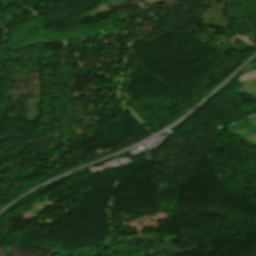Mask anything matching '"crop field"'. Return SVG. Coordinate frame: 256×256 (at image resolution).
Returning <instances> with one entry per match:
<instances>
[{
	"mask_svg": "<svg viewBox=\"0 0 256 256\" xmlns=\"http://www.w3.org/2000/svg\"><path fill=\"white\" fill-rule=\"evenodd\" d=\"M236 136H243L246 139L256 136V116L244 120L238 124L226 128Z\"/></svg>",
	"mask_w": 256,
	"mask_h": 256,
	"instance_id": "1",
	"label": "crop field"
},
{
	"mask_svg": "<svg viewBox=\"0 0 256 256\" xmlns=\"http://www.w3.org/2000/svg\"><path fill=\"white\" fill-rule=\"evenodd\" d=\"M255 78H256V70L242 75L239 80L241 82V81L251 80V79H255Z\"/></svg>",
	"mask_w": 256,
	"mask_h": 256,
	"instance_id": "2",
	"label": "crop field"
},
{
	"mask_svg": "<svg viewBox=\"0 0 256 256\" xmlns=\"http://www.w3.org/2000/svg\"><path fill=\"white\" fill-rule=\"evenodd\" d=\"M242 84H243V88L244 87L256 86V79L255 80H251V81L242 82Z\"/></svg>",
	"mask_w": 256,
	"mask_h": 256,
	"instance_id": "3",
	"label": "crop field"
},
{
	"mask_svg": "<svg viewBox=\"0 0 256 256\" xmlns=\"http://www.w3.org/2000/svg\"><path fill=\"white\" fill-rule=\"evenodd\" d=\"M249 140H251V141H255V142H256V137L251 138V139H249Z\"/></svg>",
	"mask_w": 256,
	"mask_h": 256,
	"instance_id": "4",
	"label": "crop field"
}]
</instances>
